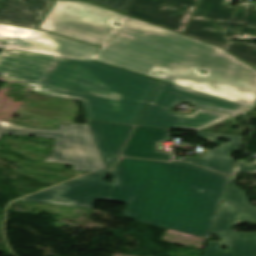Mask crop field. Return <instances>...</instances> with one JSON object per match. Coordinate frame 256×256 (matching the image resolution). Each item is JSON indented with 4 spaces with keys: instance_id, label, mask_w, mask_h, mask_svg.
<instances>
[{
    "instance_id": "crop-field-1",
    "label": "crop field",
    "mask_w": 256,
    "mask_h": 256,
    "mask_svg": "<svg viewBox=\"0 0 256 256\" xmlns=\"http://www.w3.org/2000/svg\"><path fill=\"white\" fill-rule=\"evenodd\" d=\"M107 172L112 184L104 183ZM228 179L190 164L122 158L115 170L20 200L85 208L95 200L123 201L125 217L207 238Z\"/></svg>"
},
{
    "instance_id": "crop-field-2",
    "label": "crop field",
    "mask_w": 256,
    "mask_h": 256,
    "mask_svg": "<svg viewBox=\"0 0 256 256\" xmlns=\"http://www.w3.org/2000/svg\"><path fill=\"white\" fill-rule=\"evenodd\" d=\"M94 60L251 107L256 69L221 48L123 15Z\"/></svg>"
},
{
    "instance_id": "crop-field-3",
    "label": "crop field",
    "mask_w": 256,
    "mask_h": 256,
    "mask_svg": "<svg viewBox=\"0 0 256 256\" xmlns=\"http://www.w3.org/2000/svg\"><path fill=\"white\" fill-rule=\"evenodd\" d=\"M156 83L96 62L57 57L34 90L82 100L87 119L135 124Z\"/></svg>"
},
{
    "instance_id": "crop-field-4",
    "label": "crop field",
    "mask_w": 256,
    "mask_h": 256,
    "mask_svg": "<svg viewBox=\"0 0 256 256\" xmlns=\"http://www.w3.org/2000/svg\"><path fill=\"white\" fill-rule=\"evenodd\" d=\"M230 1L201 0L184 34L216 44L256 67V44L229 42L237 37L244 14L247 17L240 36L256 39V3L230 7Z\"/></svg>"
},
{
    "instance_id": "crop-field-5",
    "label": "crop field",
    "mask_w": 256,
    "mask_h": 256,
    "mask_svg": "<svg viewBox=\"0 0 256 256\" xmlns=\"http://www.w3.org/2000/svg\"><path fill=\"white\" fill-rule=\"evenodd\" d=\"M180 102L191 103L196 108L230 114L249 108L160 81L137 125L196 131L230 117L205 111L191 115L172 114L169 109Z\"/></svg>"
},
{
    "instance_id": "crop-field-6",
    "label": "crop field",
    "mask_w": 256,
    "mask_h": 256,
    "mask_svg": "<svg viewBox=\"0 0 256 256\" xmlns=\"http://www.w3.org/2000/svg\"><path fill=\"white\" fill-rule=\"evenodd\" d=\"M121 17L122 14L93 4L56 0L39 29L102 46Z\"/></svg>"
},
{
    "instance_id": "crop-field-7",
    "label": "crop field",
    "mask_w": 256,
    "mask_h": 256,
    "mask_svg": "<svg viewBox=\"0 0 256 256\" xmlns=\"http://www.w3.org/2000/svg\"><path fill=\"white\" fill-rule=\"evenodd\" d=\"M4 133L55 139L54 152L48 162L67 163L73 169L96 172L104 168L90 136L87 125H60L57 131L22 127Z\"/></svg>"
},
{
    "instance_id": "crop-field-8",
    "label": "crop field",
    "mask_w": 256,
    "mask_h": 256,
    "mask_svg": "<svg viewBox=\"0 0 256 256\" xmlns=\"http://www.w3.org/2000/svg\"><path fill=\"white\" fill-rule=\"evenodd\" d=\"M240 222L256 224V211L223 202L212 233L219 235L221 241H209L204 256H256V232L231 230L235 223ZM221 245H226L228 250H221Z\"/></svg>"
},
{
    "instance_id": "crop-field-9",
    "label": "crop field",
    "mask_w": 256,
    "mask_h": 256,
    "mask_svg": "<svg viewBox=\"0 0 256 256\" xmlns=\"http://www.w3.org/2000/svg\"><path fill=\"white\" fill-rule=\"evenodd\" d=\"M199 0H135L125 12L183 33ZM188 4V7H183Z\"/></svg>"
},
{
    "instance_id": "crop-field-10",
    "label": "crop field",
    "mask_w": 256,
    "mask_h": 256,
    "mask_svg": "<svg viewBox=\"0 0 256 256\" xmlns=\"http://www.w3.org/2000/svg\"><path fill=\"white\" fill-rule=\"evenodd\" d=\"M30 53L62 56L90 61L99 48L72 39L35 30L27 39L12 43Z\"/></svg>"
},
{
    "instance_id": "crop-field-11",
    "label": "crop field",
    "mask_w": 256,
    "mask_h": 256,
    "mask_svg": "<svg viewBox=\"0 0 256 256\" xmlns=\"http://www.w3.org/2000/svg\"><path fill=\"white\" fill-rule=\"evenodd\" d=\"M55 58L7 49L0 55V76L37 84Z\"/></svg>"
},
{
    "instance_id": "crop-field-12",
    "label": "crop field",
    "mask_w": 256,
    "mask_h": 256,
    "mask_svg": "<svg viewBox=\"0 0 256 256\" xmlns=\"http://www.w3.org/2000/svg\"><path fill=\"white\" fill-rule=\"evenodd\" d=\"M94 146L105 168H112L134 126L87 121Z\"/></svg>"
},
{
    "instance_id": "crop-field-13",
    "label": "crop field",
    "mask_w": 256,
    "mask_h": 256,
    "mask_svg": "<svg viewBox=\"0 0 256 256\" xmlns=\"http://www.w3.org/2000/svg\"><path fill=\"white\" fill-rule=\"evenodd\" d=\"M197 137L212 142L214 144H219L221 146L215 148L214 150L206 152L203 156V159L174 157L173 160L190 162L201 167L230 176L231 170L235 162L231 158V153L239 151L243 136L198 132ZM220 137L228 139L230 141L224 144H220L218 143V139Z\"/></svg>"
},
{
    "instance_id": "crop-field-14",
    "label": "crop field",
    "mask_w": 256,
    "mask_h": 256,
    "mask_svg": "<svg viewBox=\"0 0 256 256\" xmlns=\"http://www.w3.org/2000/svg\"><path fill=\"white\" fill-rule=\"evenodd\" d=\"M169 138V129L136 126L126 148L121 155L170 160L172 153L159 152L156 143Z\"/></svg>"
},
{
    "instance_id": "crop-field-15",
    "label": "crop field",
    "mask_w": 256,
    "mask_h": 256,
    "mask_svg": "<svg viewBox=\"0 0 256 256\" xmlns=\"http://www.w3.org/2000/svg\"><path fill=\"white\" fill-rule=\"evenodd\" d=\"M241 172L256 173V161L246 163L244 160H240L235 162L234 169L232 171L231 179L229 182V186L223 198V201L256 210V206H252L248 202L245 193L234 184L235 174L241 173Z\"/></svg>"
},
{
    "instance_id": "crop-field-16",
    "label": "crop field",
    "mask_w": 256,
    "mask_h": 256,
    "mask_svg": "<svg viewBox=\"0 0 256 256\" xmlns=\"http://www.w3.org/2000/svg\"><path fill=\"white\" fill-rule=\"evenodd\" d=\"M42 18L27 6L8 5L0 14V23L36 28Z\"/></svg>"
},
{
    "instance_id": "crop-field-17",
    "label": "crop field",
    "mask_w": 256,
    "mask_h": 256,
    "mask_svg": "<svg viewBox=\"0 0 256 256\" xmlns=\"http://www.w3.org/2000/svg\"><path fill=\"white\" fill-rule=\"evenodd\" d=\"M33 31L34 29L0 24V46L13 48L10 43L28 37Z\"/></svg>"
},
{
    "instance_id": "crop-field-18",
    "label": "crop field",
    "mask_w": 256,
    "mask_h": 256,
    "mask_svg": "<svg viewBox=\"0 0 256 256\" xmlns=\"http://www.w3.org/2000/svg\"><path fill=\"white\" fill-rule=\"evenodd\" d=\"M8 4L27 5L44 17L53 2L52 0H0V13Z\"/></svg>"
},
{
    "instance_id": "crop-field-19",
    "label": "crop field",
    "mask_w": 256,
    "mask_h": 256,
    "mask_svg": "<svg viewBox=\"0 0 256 256\" xmlns=\"http://www.w3.org/2000/svg\"><path fill=\"white\" fill-rule=\"evenodd\" d=\"M103 6L125 12L134 0H90Z\"/></svg>"
},
{
    "instance_id": "crop-field-20",
    "label": "crop field",
    "mask_w": 256,
    "mask_h": 256,
    "mask_svg": "<svg viewBox=\"0 0 256 256\" xmlns=\"http://www.w3.org/2000/svg\"><path fill=\"white\" fill-rule=\"evenodd\" d=\"M8 125H9V123L0 121V135L7 129Z\"/></svg>"
},
{
    "instance_id": "crop-field-21",
    "label": "crop field",
    "mask_w": 256,
    "mask_h": 256,
    "mask_svg": "<svg viewBox=\"0 0 256 256\" xmlns=\"http://www.w3.org/2000/svg\"><path fill=\"white\" fill-rule=\"evenodd\" d=\"M8 128H16V129H20V128H21V126H14V125L10 124Z\"/></svg>"
},
{
    "instance_id": "crop-field-22",
    "label": "crop field",
    "mask_w": 256,
    "mask_h": 256,
    "mask_svg": "<svg viewBox=\"0 0 256 256\" xmlns=\"http://www.w3.org/2000/svg\"><path fill=\"white\" fill-rule=\"evenodd\" d=\"M245 16H246V15H245ZM245 16H244V19H243V23H244V20H245ZM243 23H242V25H243ZM242 25H241V28H242ZM241 28H240V31H239V33H238V38H247V37H239L240 32H241Z\"/></svg>"
},
{
    "instance_id": "crop-field-23",
    "label": "crop field",
    "mask_w": 256,
    "mask_h": 256,
    "mask_svg": "<svg viewBox=\"0 0 256 256\" xmlns=\"http://www.w3.org/2000/svg\"><path fill=\"white\" fill-rule=\"evenodd\" d=\"M254 109H256V106H255V108Z\"/></svg>"
}]
</instances>
